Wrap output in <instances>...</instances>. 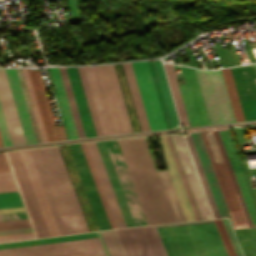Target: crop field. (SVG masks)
Wrapping results in <instances>:
<instances>
[{
    "mask_svg": "<svg viewBox=\"0 0 256 256\" xmlns=\"http://www.w3.org/2000/svg\"><path fill=\"white\" fill-rule=\"evenodd\" d=\"M215 136V139L217 141L220 153L222 155L223 161L224 163H220L223 162L221 155L219 153L216 141L214 139L213 133L212 132H206L210 145L212 147L215 159L217 163L220 164H216L212 150L210 148L207 136L205 132H200L201 136L203 138L206 150L208 152L210 161L212 163L214 172L216 174L219 186L221 188L223 197L225 199L227 208L229 210L232 222L234 224L235 228H242V227H256V214L251 202V198H250V194L249 191L247 189L246 183H245V179L242 173V169H241V165L237 156V153L235 151L232 139L230 137L229 131L227 128L225 129H219V130H215L216 134L218 136L221 148L223 150L226 162L228 164L231 176L233 178L236 190L238 192L241 204L243 206L246 218L248 220V223L246 221L243 209L241 207L238 195L236 193L233 181L231 179L228 167L226 165L223 153L221 151L218 139L216 137L215 131L212 130ZM199 132H194V133H190L191 138L193 140L194 146L196 148L198 157L200 159L201 165L203 167L204 173L206 175L208 184L210 186L211 192L213 194L215 203L217 205L218 211L220 213L221 217H225V216H229L228 210L226 208L224 199L222 197L220 188L218 186L215 174L213 172L211 163L209 161L207 152L205 150L202 138L200 136ZM229 216V218H230ZM230 219V221H231ZM231 222V224H232ZM232 224V227H233ZM233 227V228H234Z\"/></svg>",
    "mask_w": 256,
    "mask_h": 256,
    "instance_id": "crop-field-1",
    "label": "crop field"
},
{
    "mask_svg": "<svg viewBox=\"0 0 256 256\" xmlns=\"http://www.w3.org/2000/svg\"><path fill=\"white\" fill-rule=\"evenodd\" d=\"M117 141L148 223L186 221L168 171H155L144 139Z\"/></svg>",
    "mask_w": 256,
    "mask_h": 256,
    "instance_id": "crop-field-2",
    "label": "crop field"
},
{
    "mask_svg": "<svg viewBox=\"0 0 256 256\" xmlns=\"http://www.w3.org/2000/svg\"><path fill=\"white\" fill-rule=\"evenodd\" d=\"M51 148L29 151L59 234L89 231L58 147Z\"/></svg>",
    "mask_w": 256,
    "mask_h": 256,
    "instance_id": "crop-field-3",
    "label": "crop field"
},
{
    "mask_svg": "<svg viewBox=\"0 0 256 256\" xmlns=\"http://www.w3.org/2000/svg\"><path fill=\"white\" fill-rule=\"evenodd\" d=\"M155 227L168 256H228L213 220Z\"/></svg>",
    "mask_w": 256,
    "mask_h": 256,
    "instance_id": "crop-field-4",
    "label": "crop field"
},
{
    "mask_svg": "<svg viewBox=\"0 0 256 256\" xmlns=\"http://www.w3.org/2000/svg\"><path fill=\"white\" fill-rule=\"evenodd\" d=\"M196 70L206 109L211 124L234 120L230 102L220 70Z\"/></svg>",
    "mask_w": 256,
    "mask_h": 256,
    "instance_id": "crop-field-5",
    "label": "crop field"
},
{
    "mask_svg": "<svg viewBox=\"0 0 256 256\" xmlns=\"http://www.w3.org/2000/svg\"><path fill=\"white\" fill-rule=\"evenodd\" d=\"M0 256H105L98 238L0 250Z\"/></svg>",
    "mask_w": 256,
    "mask_h": 256,
    "instance_id": "crop-field-6",
    "label": "crop field"
},
{
    "mask_svg": "<svg viewBox=\"0 0 256 256\" xmlns=\"http://www.w3.org/2000/svg\"><path fill=\"white\" fill-rule=\"evenodd\" d=\"M145 108L150 129L166 128L148 62L131 63Z\"/></svg>",
    "mask_w": 256,
    "mask_h": 256,
    "instance_id": "crop-field-7",
    "label": "crop field"
},
{
    "mask_svg": "<svg viewBox=\"0 0 256 256\" xmlns=\"http://www.w3.org/2000/svg\"><path fill=\"white\" fill-rule=\"evenodd\" d=\"M136 226L148 224L116 140L104 141Z\"/></svg>",
    "mask_w": 256,
    "mask_h": 256,
    "instance_id": "crop-field-8",
    "label": "crop field"
},
{
    "mask_svg": "<svg viewBox=\"0 0 256 256\" xmlns=\"http://www.w3.org/2000/svg\"><path fill=\"white\" fill-rule=\"evenodd\" d=\"M182 67L186 85L179 86L190 126L210 124L195 74L192 68Z\"/></svg>",
    "mask_w": 256,
    "mask_h": 256,
    "instance_id": "crop-field-9",
    "label": "crop field"
},
{
    "mask_svg": "<svg viewBox=\"0 0 256 256\" xmlns=\"http://www.w3.org/2000/svg\"><path fill=\"white\" fill-rule=\"evenodd\" d=\"M202 219L212 218L184 139L171 135Z\"/></svg>",
    "mask_w": 256,
    "mask_h": 256,
    "instance_id": "crop-field-10",
    "label": "crop field"
},
{
    "mask_svg": "<svg viewBox=\"0 0 256 256\" xmlns=\"http://www.w3.org/2000/svg\"><path fill=\"white\" fill-rule=\"evenodd\" d=\"M0 102L12 144L25 143L4 69H0Z\"/></svg>",
    "mask_w": 256,
    "mask_h": 256,
    "instance_id": "crop-field-11",
    "label": "crop field"
},
{
    "mask_svg": "<svg viewBox=\"0 0 256 256\" xmlns=\"http://www.w3.org/2000/svg\"><path fill=\"white\" fill-rule=\"evenodd\" d=\"M117 228L126 227L95 142L86 143Z\"/></svg>",
    "mask_w": 256,
    "mask_h": 256,
    "instance_id": "crop-field-12",
    "label": "crop field"
},
{
    "mask_svg": "<svg viewBox=\"0 0 256 256\" xmlns=\"http://www.w3.org/2000/svg\"><path fill=\"white\" fill-rule=\"evenodd\" d=\"M8 77L9 85L15 102L16 110L22 127L25 142L36 141L30 117L27 111L25 100L19 84V80L15 69H5ZM4 70V71H5ZM37 142V141H36Z\"/></svg>",
    "mask_w": 256,
    "mask_h": 256,
    "instance_id": "crop-field-13",
    "label": "crop field"
},
{
    "mask_svg": "<svg viewBox=\"0 0 256 256\" xmlns=\"http://www.w3.org/2000/svg\"><path fill=\"white\" fill-rule=\"evenodd\" d=\"M51 236L59 235L28 150L19 151Z\"/></svg>",
    "mask_w": 256,
    "mask_h": 256,
    "instance_id": "crop-field-14",
    "label": "crop field"
},
{
    "mask_svg": "<svg viewBox=\"0 0 256 256\" xmlns=\"http://www.w3.org/2000/svg\"><path fill=\"white\" fill-rule=\"evenodd\" d=\"M141 256H166L154 226L129 228Z\"/></svg>",
    "mask_w": 256,
    "mask_h": 256,
    "instance_id": "crop-field-15",
    "label": "crop field"
},
{
    "mask_svg": "<svg viewBox=\"0 0 256 256\" xmlns=\"http://www.w3.org/2000/svg\"><path fill=\"white\" fill-rule=\"evenodd\" d=\"M127 227L135 226L103 141L96 142Z\"/></svg>",
    "mask_w": 256,
    "mask_h": 256,
    "instance_id": "crop-field-16",
    "label": "crop field"
},
{
    "mask_svg": "<svg viewBox=\"0 0 256 256\" xmlns=\"http://www.w3.org/2000/svg\"><path fill=\"white\" fill-rule=\"evenodd\" d=\"M66 69H67V73H68L69 80H70V83H71V87H72V90H73V94H74V97H75V101H76V104H77V108H78V111H79V115H80V118H81V122H82V125H83V129H84V132H85V136L86 137H92L94 135H93L91 124H90V121H89V118H88V114H87V111H86V107H85V104H84V100H83V97H82L80 86H79V83H78V80H77L75 69L74 68H66Z\"/></svg>",
    "mask_w": 256,
    "mask_h": 256,
    "instance_id": "crop-field-17",
    "label": "crop field"
},
{
    "mask_svg": "<svg viewBox=\"0 0 256 256\" xmlns=\"http://www.w3.org/2000/svg\"><path fill=\"white\" fill-rule=\"evenodd\" d=\"M142 131L150 130L130 63L122 64Z\"/></svg>",
    "mask_w": 256,
    "mask_h": 256,
    "instance_id": "crop-field-18",
    "label": "crop field"
},
{
    "mask_svg": "<svg viewBox=\"0 0 256 256\" xmlns=\"http://www.w3.org/2000/svg\"><path fill=\"white\" fill-rule=\"evenodd\" d=\"M28 74H29V77H30V81H31V84H32V88H33V91H34L36 102H37V105H38V108H39V112H40V115H41V119H42V122H43L45 133H46V136H47V140L48 141L55 140L53 132H52V128H51V125H50L49 117H48V114H47V110H46V107H45V103H44V100H43V96H42V93H41L38 78H37V75H36V71L35 70H28Z\"/></svg>",
    "mask_w": 256,
    "mask_h": 256,
    "instance_id": "crop-field-19",
    "label": "crop field"
},
{
    "mask_svg": "<svg viewBox=\"0 0 256 256\" xmlns=\"http://www.w3.org/2000/svg\"><path fill=\"white\" fill-rule=\"evenodd\" d=\"M153 63H154V67H155L158 81L160 84V88L162 91V95H163V99H164L167 113L169 116V120L171 123V127H174V126L178 125V119H177V115H176L174 105H173V102L171 99V95H170V92L168 89V85H167V82L165 79V75H164V72L162 69V65H161L160 60L153 61Z\"/></svg>",
    "mask_w": 256,
    "mask_h": 256,
    "instance_id": "crop-field-20",
    "label": "crop field"
},
{
    "mask_svg": "<svg viewBox=\"0 0 256 256\" xmlns=\"http://www.w3.org/2000/svg\"><path fill=\"white\" fill-rule=\"evenodd\" d=\"M94 237H98V236H95L94 232H90V233L75 234V235H68V236H61V237L3 243V244H0V249L37 245V244H45V243H53V242L70 241V240H78V239H86V238H94Z\"/></svg>",
    "mask_w": 256,
    "mask_h": 256,
    "instance_id": "crop-field-21",
    "label": "crop field"
},
{
    "mask_svg": "<svg viewBox=\"0 0 256 256\" xmlns=\"http://www.w3.org/2000/svg\"><path fill=\"white\" fill-rule=\"evenodd\" d=\"M71 138H78L58 68H51Z\"/></svg>",
    "mask_w": 256,
    "mask_h": 256,
    "instance_id": "crop-field-22",
    "label": "crop field"
},
{
    "mask_svg": "<svg viewBox=\"0 0 256 256\" xmlns=\"http://www.w3.org/2000/svg\"><path fill=\"white\" fill-rule=\"evenodd\" d=\"M221 71H222V75H223V78H224L226 89H227V92H228V95H229V99H230V102H231V106H232V109H233L235 120L236 121H244L245 119H244V116H243V112H242V109H241V106H240V102H239V99H238V96H237V92H236V89H235V86H234V82H233V79H232V76H231L230 69L226 68V69H222Z\"/></svg>",
    "mask_w": 256,
    "mask_h": 256,
    "instance_id": "crop-field-23",
    "label": "crop field"
},
{
    "mask_svg": "<svg viewBox=\"0 0 256 256\" xmlns=\"http://www.w3.org/2000/svg\"><path fill=\"white\" fill-rule=\"evenodd\" d=\"M164 65H165V69H166L167 76H168V79H169V83H170V86H171V90H172V94H173L174 101H175V104H176V108H177V111H178V115H179V118H180V122L182 124L188 125V121H187L186 113H185V110H184L183 102H182V99H181V95H180V91H179V87H178L174 67H173V65H169V64H164Z\"/></svg>",
    "mask_w": 256,
    "mask_h": 256,
    "instance_id": "crop-field-24",
    "label": "crop field"
},
{
    "mask_svg": "<svg viewBox=\"0 0 256 256\" xmlns=\"http://www.w3.org/2000/svg\"><path fill=\"white\" fill-rule=\"evenodd\" d=\"M59 69H60V73H61L62 80H63V83H64V87H65V91H66L67 98H68V101H69V105H70V108H71V112H72V115H73V119H74V123H75L76 130H77V133H78V137L79 138L85 137L83 129H82V125H81V122H80V118H79V115H78V111H77V108H76V104H75V101H74V97H73V94H72V90H71V87H70V83H69V80H68V76H67V73H66V69L65 68H59Z\"/></svg>",
    "mask_w": 256,
    "mask_h": 256,
    "instance_id": "crop-field-25",
    "label": "crop field"
},
{
    "mask_svg": "<svg viewBox=\"0 0 256 256\" xmlns=\"http://www.w3.org/2000/svg\"><path fill=\"white\" fill-rule=\"evenodd\" d=\"M109 256H126L115 230L100 232Z\"/></svg>",
    "mask_w": 256,
    "mask_h": 256,
    "instance_id": "crop-field-26",
    "label": "crop field"
},
{
    "mask_svg": "<svg viewBox=\"0 0 256 256\" xmlns=\"http://www.w3.org/2000/svg\"><path fill=\"white\" fill-rule=\"evenodd\" d=\"M185 138H186V141H187V143H188L189 149H190V151H191L192 157H193V159H194L196 168H197V170H198L199 176H200V178H201L202 184H203V186H204V189H205L206 195H207V197H208L209 203H210V205H211L212 211H213V213H214V216H215V218H218V217H220V216H219V213H218L217 208H216V205H215V203H214L212 194H211V192H210L209 186H208L207 181H206V178H205V176H204L202 167H201V165H200V162H199V159H198V157H197V154H196L195 148H194V146H193L192 140H191V138H190V135H189V134L186 135Z\"/></svg>",
    "mask_w": 256,
    "mask_h": 256,
    "instance_id": "crop-field-27",
    "label": "crop field"
},
{
    "mask_svg": "<svg viewBox=\"0 0 256 256\" xmlns=\"http://www.w3.org/2000/svg\"><path fill=\"white\" fill-rule=\"evenodd\" d=\"M112 228H116L85 143L80 144Z\"/></svg>",
    "mask_w": 256,
    "mask_h": 256,
    "instance_id": "crop-field-28",
    "label": "crop field"
},
{
    "mask_svg": "<svg viewBox=\"0 0 256 256\" xmlns=\"http://www.w3.org/2000/svg\"><path fill=\"white\" fill-rule=\"evenodd\" d=\"M36 71H37V75H38V78H39L41 89H42V92H43V95H44V99H45V102H46L48 113H49V116H50V120H51L52 128H53V131H54L55 139L56 140L67 139L66 135H65L64 128H63V125L61 124V125H59L57 127L55 125L54 119H53L51 111H50V107H49L47 95H46V92H45V88H44V84H43L41 73H40L39 70H36Z\"/></svg>",
    "mask_w": 256,
    "mask_h": 256,
    "instance_id": "crop-field-29",
    "label": "crop field"
},
{
    "mask_svg": "<svg viewBox=\"0 0 256 256\" xmlns=\"http://www.w3.org/2000/svg\"><path fill=\"white\" fill-rule=\"evenodd\" d=\"M165 136H166V139H167V141H168L169 147H170V149H171L172 155H173V157H174L175 163H176V165H177L178 171H179V173H180L182 182H183V184H184L185 190H186V192H187V195H188V198H189V200H190V203H191V206H192V208H193V211H194V214H195V216H196V219L199 220V219H200V218H199V215H198V213H197L195 204H194V202H193L191 193H190V191H189L187 182H186L185 177H184V174H183V172H182V169H181L180 163H179V161H178V158H177L176 152H175V150H174V147H173L172 141H171V139H170V136H169V135H165Z\"/></svg>",
    "mask_w": 256,
    "mask_h": 256,
    "instance_id": "crop-field-30",
    "label": "crop field"
},
{
    "mask_svg": "<svg viewBox=\"0 0 256 256\" xmlns=\"http://www.w3.org/2000/svg\"><path fill=\"white\" fill-rule=\"evenodd\" d=\"M23 206L17 192L0 194V208Z\"/></svg>",
    "mask_w": 256,
    "mask_h": 256,
    "instance_id": "crop-field-31",
    "label": "crop field"
},
{
    "mask_svg": "<svg viewBox=\"0 0 256 256\" xmlns=\"http://www.w3.org/2000/svg\"><path fill=\"white\" fill-rule=\"evenodd\" d=\"M22 70H23V74H24V77H25V81H26V84H27L28 91H29V95H30V98H31V102H32V106H33L34 113H35V116H36V120H37V123H38V127H39V130H40V134H41V137H42V141L45 142V141H47L46 136H45V133H44V130H43V126H42L41 119H40V116H39V112H38V109H37V106H36V102H35V99H34L32 88H31V85H30V82H29L27 71H26V69H22Z\"/></svg>",
    "mask_w": 256,
    "mask_h": 256,
    "instance_id": "crop-field-32",
    "label": "crop field"
},
{
    "mask_svg": "<svg viewBox=\"0 0 256 256\" xmlns=\"http://www.w3.org/2000/svg\"><path fill=\"white\" fill-rule=\"evenodd\" d=\"M17 191L10 172L0 173V193Z\"/></svg>",
    "mask_w": 256,
    "mask_h": 256,
    "instance_id": "crop-field-33",
    "label": "crop field"
},
{
    "mask_svg": "<svg viewBox=\"0 0 256 256\" xmlns=\"http://www.w3.org/2000/svg\"><path fill=\"white\" fill-rule=\"evenodd\" d=\"M214 221H215V223L217 225V228L219 230V233H220V235L222 237V240L224 242V245H225V247L227 249V252H228L229 256H236L235 251H234V249L232 247V244L230 242V239L228 237V234L226 232V229H225V227L223 225L222 220L221 219H217V220H214Z\"/></svg>",
    "mask_w": 256,
    "mask_h": 256,
    "instance_id": "crop-field-34",
    "label": "crop field"
},
{
    "mask_svg": "<svg viewBox=\"0 0 256 256\" xmlns=\"http://www.w3.org/2000/svg\"><path fill=\"white\" fill-rule=\"evenodd\" d=\"M149 66H150V69H151L152 77H153L154 84H155V87H156V91H157V94H158V98H159V102H160L161 109H162V112H163V116H164V120H165V123H166V127L167 128H171L169 120H168V116H167V113H166V109H165V106H164V102H163V99H162V95H161V91H160V88H159V84H158V81H157V77H156V74H155V70H154V67H153V63L149 62Z\"/></svg>",
    "mask_w": 256,
    "mask_h": 256,
    "instance_id": "crop-field-35",
    "label": "crop field"
},
{
    "mask_svg": "<svg viewBox=\"0 0 256 256\" xmlns=\"http://www.w3.org/2000/svg\"><path fill=\"white\" fill-rule=\"evenodd\" d=\"M132 256H140L128 228L121 229Z\"/></svg>",
    "mask_w": 256,
    "mask_h": 256,
    "instance_id": "crop-field-36",
    "label": "crop field"
},
{
    "mask_svg": "<svg viewBox=\"0 0 256 256\" xmlns=\"http://www.w3.org/2000/svg\"><path fill=\"white\" fill-rule=\"evenodd\" d=\"M0 130H1L3 140H4V144L5 145H12L10 137H9V133H8V130H7V127H6V123H5V120H4V116H3V113H2L1 106H0Z\"/></svg>",
    "mask_w": 256,
    "mask_h": 256,
    "instance_id": "crop-field-37",
    "label": "crop field"
},
{
    "mask_svg": "<svg viewBox=\"0 0 256 256\" xmlns=\"http://www.w3.org/2000/svg\"><path fill=\"white\" fill-rule=\"evenodd\" d=\"M222 220H223L224 225H225V227H226V229H227V232H228V234H229V237H230L231 242H232V244H233V246H234V249H235V251H236L237 256H242V254H241V252H240V249H239V247H238V245H237V243H236V240H235V238H234V235H233V233H232V231H231V228H230V224H229L228 219H227V218H224V219H222Z\"/></svg>",
    "mask_w": 256,
    "mask_h": 256,
    "instance_id": "crop-field-38",
    "label": "crop field"
},
{
    "mask_svg": "<svg viewBox=\"0 0 256 256\" xmlns=\"http://www.w3.org/2000/svg\"><path fill=\"white\" fill-rule=\"evenodd\" d=\"M23 218H27L25 212L11 213V214H1L0 215V221L13 220V219H23Z\"/></svg>",
    "mask_w": 256,
    "mask_h": 256,
    "instance_id": "crop-field-39",
    "label": "crop field"
},
{
    "mask_svg": "<svg viewBox=\"0 0 256 256\" xmlns=\"http://www.w3.org/2000/svg\"><path fill=\"white\" fill-rule=\"evenodd\" d=\"M16 70H17L18 77H19V80H20V83H21V87H22V90H23V93H24V96H25L26 103L29 104L31 102H30V98H29V95H28V91H27V88H26L25 81H24V77H23V74H22V70L21 69H16Z\"/></svg>",
    "mask_w": 256,
    "mask_h": 256,
    "instance_id": "crop-field-40",
    "label": "crop field"
},
{
    "mask_svg": "<svg viewBox=\"0 0 256 256\" xmlns=\"http://www.w3.org/2000/svg\"><path fill=\"white\" fill-rule=\"evenodd\" d=\"M32 232L30 227L0 230V235Z\"/></svg>",
    "mask_w": 256,
    "mask_h": 256,
    "instance_id": "crop-field-41",
    "label": "crop field"
},
{
    "mask_svg": "<svg viewBox=\"0 0 256 256\" xmlns=\"http://www.w3.org/2000/svg\"><path fill=\"white\" fill-rule=\"evenodd\" d=\"M10 171L3 153H0V172Z\"/></svg>",
    "mask_w": 256,
    "mask_h": 256,
    "instance_id": "crop-field-42",
    "label": "crop field"
},
{
    "mask_svg": "<svg viewBox=\"0 0 256 256\" xmlns=\"http://www.w3.org/2000/svg\"><path fill=\"white\" fill-rule=\"evenodd\" d=\"M31 238H34V236H33V235H29V236L2 238V239H0V242L15 241V240H23V239H31Z\"/></svg>",
    "mask_w": 256,
    "mask_h": 256,
    "instance_id": "crop-field-43",
    "label": "crop field"
},
{
    "mask_svg": "<svg viewBox=\"0 0 256 256\" xmlns=\"http://www.w3.org/2000/svg\"><path fill=\"white\" fill-rule=\"evenodd\" d=\"M116 231H117V233H118V235H119V238H120V240H121V242H122V245H123V247H124V250H125L127 256H131V255H130V252H129V250H128V247H127V245H126V242H125V240H124V237H123V235H122L121 230L119 229V230H116Z\"/></svg>",
    "mask_w": 256,
    "mask_h": 256,
    "instance_id": "crop-field-44",
    "label": "crop field"
},
{
    "mask_svg": "<svg viewBox=\"0 0 256 256\" xmlns=\"http://www.w3.org/2000/svg\"><path fill=\"white\" fill-rule=\"evenodd\" d=\"M29 234H33V233L17 234V235H6V236H0V238H2V237H11V236H20V235H29Z\"/></svg>",
    "mask_w": 256,
    "mask_h": 256,
    "instance_id": "crop-field-45",
    "label": "crop field"
},
{
    "mask_svg": "<svg viewBox=\"0 0 256 256\" xmlns=\"http://www.w3.org/2000/svg\"><path fill=\"white\" fill-rule=\"evenodd\" d=\"M0 146H3V144H2V140L0 139Z\"/></svg>",
    "mask_w": 256,
    "mask_h": 256,
    "instance_id": "crop-field-46",
    "label": "crop field"
},
{
    "mask_svg": "<svg viewBox=\"0 0 256 256\" xmlns=\"http://www.w3.org/2000/svg\"><path fill=\"white\" fill-rule=\"evenodd\" d=\"M255 65V69H256V64H254ZM256 80V79H255Z\"/></svg>",
    "mask_w": 256,
    "mask_h": 256,
    "instance_id": "crop-field-47",
    "label": "crop field"
},
{
    "mask_svg": "<svg viewBox=\"0 0 256 256\" xmlns=\"http://www.w3.org/2000/svg\"><path fill=\"white\" fill-rule=\"evenodd\" d=\"M1 138V137H0Z\"/></svg>",
    "mask_w": 256,
    "mask_h": 256,
    "instance_id": "crop-field-48",
    "label": "crop field"
}]
</instances>
